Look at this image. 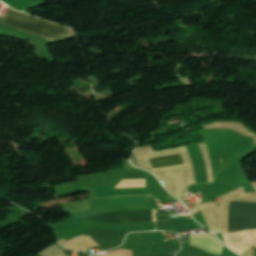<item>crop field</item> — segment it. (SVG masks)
I'll return each instance as SVG.
<instances>
[{
	"mask_svg": "<svg viewBox=\"0 0 256 256\" xmlns=\"http://www.w3.org/2000/svg\"><path fill=\"white\" fill-rule=\"evenodd\" d=\"M0 25L17 29L50 41L74 35L71 30L63 26L18 13L11 8H9L6 15L3 16Z\"/></svg>",
	"mask_w": 256,
	"mask_h": 256,
	"instance_id": "crop-field-1",
	"label": "crop field"
},
{
	"mask_svg": "<svg viewBox=\"0 0 256 256\" xmlns=\"http://www.w3.org/2000/svg\"><path fill=\"white\" fill-rule=\"evenodd\" d=\"M229 231L256 228V203L231 201Z\"/></svg>",
	"mask_w": 256,
	"mask_h": 256,
	"instance_id": "crop-field-2",
	"label": "crop field"
},
{
	"mask_svg": "<svg viewBox=\"0 0 256 256\" xmlns=\"http://www.w3.org/2000/svg\"><path fill=\"white\" fill-rule=\"evenodd\" d=\"M90 221L106 222V223H130V222H149L152 221L151 211H122L108 213L88 218H83Z\"/></svg>",
	"mask_w": 256,
	"mask_h": 256,
	"instance_id": "crop-field-3",
	"label": "crop field"
},
{
	"mask_svg": "<svg viewBox=\"0 0 256 256\" xmlns=\"http://www.w3.org/2000/svg\"><path fill=\"white\" fill-rule=\"evenodd\" d=\"M88 235L105 250L117 247L122 243L125 233L105 231V230H88Z\"/></svg>",
	"mask_w": 256,
	"mask_h": 256,
	"instance_id": "crop-field-4",
	"label": "crop field"
},
{
	"mask_svg": "<svg viewBox=\"0 0 256 256\" xmlns=\"http://www.w3.org/2000/svg\"><path fill=\"white\" fill-rule=\"evenodd\" d=\"M153 168L183 163L180 156H168L150 159Z\"/></svg>",
	"mask_w": 256,
	"mask_h": 256,
	"instance_id": "crop-field-5",
	"label": "crop field"
}]
</instances>
